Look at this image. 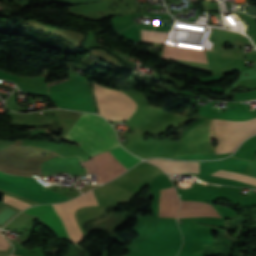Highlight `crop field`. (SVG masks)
<instances>
[{"instance_id":"crop-field-1","label":"crop field","mask_w":256,"mask_h":256,"mask_svg":"<svg viewBox=\"0 0 256 256\" xmlns=\"http://www.w3.org/2000/svg\"><path fill=\"white\" fill-rule=\"evenodd\" d=\"M65 140L79 143L91 156L119 147L114 130L101 117L83 113Z\"/></svg>"},{"instance_id":"crop-field-2","label":"crop field","mask_w":256,"mask_h":256,"mask_svg":"<svg viewBox=\"0 0 256 256\" xmlns=\"http://www.w3.org/2000/svg\"><path fill=\"white\" fill-rule=\"evenodd\" d=\"M0 189L12 192L41 203L68 200L65 196L53 193L34 178L9 176L0 172Z\"/></svg>"},{"instance_id":"crop-field-3","label":"crop field","mask_w":256,"mask_h":256,"mask_svg":"<svg viewBox=\"0 0 256 256\" xmlns=\"http://www.w3.org/2000/svg\"><path fill=\"white\" fill-rule=\"evenodd\" d=\"M213 122L218 138L217 154L235 151L244 139L256 133V118L242 122L222 120H213Z\"/></svg>"},{"instance_id":"crop-field-4","label":"crop field","mask_w":256,"mask_h":256,"mask_svg":"<svg viewBox=\"0 0 256 256\" xmlns=\"http://www.w3.org/2000/svg\"><path fill=\"white\" fill-rule=\"evenodd\" d=\"M29 214H35L51 227L59 238H69L60 218L55 213L52 205H41L25 210Z\"/></svg>"},{"instance_id":"crop-field-5","label":"crop field","mask_w":256,"mask_h":256,"mask_svg":"<svg viewBox=\"0 0 256 256\" xmlns=\"http://www.w3.org/2000/svg\"><path fill=\"white\" fill-rule=\"evenodd\" d=\"M149 162L159 166L166 173L173 174H189L199 173L198 163H182V162H171L165 160H150Z\"/></svg>"},{"instance_id":"crop-field-6","label":"crop field","mask_w":256,"mask_h":256,"mask_svg":"<svg viewBox=\"0 0 256 256\" xmlns=\"http://www.w3.org/2000/svg\"><path fill=\"white\" fill-rule=\"evenodd\" d=\"M110 152L113 154V156L121 163L123 164L127 169L138 163L139 159L133 157L128 152H126L123 148L119 147L113 150H110Z\"/></svg>"},{"instance_id":"crop-field-7","label":"crop field","mask_w":256,"mask_h":256,"mask_svg":"<svg viewBox=\"0 0 256 256\" xmlns=\"http://www.w3.org/2000/svg\"><path fill=\"white\" fill-rule=\"evenodd\" d=\"M210 176L229 179V180H235V181H242V182L256 186V178L245 176V175L238 174V173L219 170V171L211 174Z\"/></svg>"},{"instance_id":"crop-field-8","label":"crop field","mask_w":256,"mask_h":256,"mask_svg":"<svg viewBox=\"0 0 256 256\" xmlns=\"http://www.w3.org/2000/svg\"><path fill=\"white\" fill-rule=\"evenodd\" d=\"M168 33L142 30L143 41L165 44Z\"/></svg>"},{"instance_id":"crop-field-9","label":"crop field","mask_w":256,"mask_h":256,"mask_svg":"<svg viewBox=\"0 0 256 256\" xmlns=\"http://www.w3.org/2000/svg\"><path fill=\"white\" fill-rule=\"evenodd\" d=\"M9 244L7 240L0 236V250H7Z\"/></svg>"},{"instance_id":"crop-field-10","label":"crop field","mask_w":256,"mask_h":256,"mask_svg":"<svg viewBox=\"0 0 256 256\" xmlns=\"http://www.w3.org/2000/svg\"><path fill=\"white\" fill-rule=\"evenodd\" d=\"M12 256H15V255H12Z\"/></svg>"}]
</instances>
